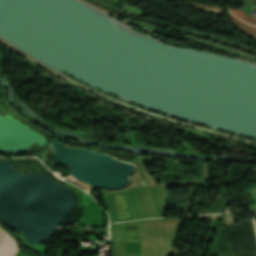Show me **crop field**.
Here are the masks:
<instances>
[{"instance_id":"obj_1","label":"crop field","mask_w":256,"mask_h":256,"mask_svg":"<svg viewBox=\"0 0 256 256\" xmlns=\"http://www.w3.org/2000/svg\"><path fill=\"white\" fill-rule=\"evenodd\" d=\"M15 250L16 243L14 239L5 234L3 240L0 243V256H13Z\"/></svg>"},{"instance_id":"obj_4","label":"crop field","mask_w":256,"mask_h":256,"mask_svg":"<svg viewBox=\"0 0 256 256\" xmlns=\"http://www.w3.org/2000/svg\"><path fill=\"white\" fill-rule=\"evenodd\" d=\"M230 11H232L235 15H237L242 20H244V21H246V22L256 26V17H252V16L248 15L243 10L230 9Z\"/></svg>"},{"instance_id":"obj_10","label":"crop field","mask_w":256,"mask_h":256,"mask_svg":"<svg viewBox=\"0 0 256 256\" xmlns=\"http://www.w3.org/2000/svg\"><path fill=\"white\" fill-rule=\"evenodd\" d=\"M255 223H256V221H255Z\"/></svg>"},{"instance_id":"obj_9","label":"crop field","mask_w":256,"mask_h":256,"mask_svg":"<svg viewBox=\"0 0 256 256\" xmlns=\"http://www.w3.org/2000/svg\"><path fill=\"white\" fill-rule=\"evenodd\" d=\"M254 5H256V0H254Z\"/></svg>"},{"instance_id":"obj_6","label":"crop field","mask_w":256,"mask_h":256,"mask_svg":"<svg viewBox=\"0 0 256 256\" xmlns=\"http://www.w3.org/2000/svg\"><path fill=\"white\" fill-rule=\"evenodd\" d=\"M250 191L252 192V194H253V195L255 196V198H256V187L250 189ZM248 209H249L250 211H256V203L253 204L252 206L248 207Z\"/></svg>"},{"instance_id":"obj_8","label":"crop field","mask_w":256,"mask_h":256,"mask_svg":"<svg viewBox=\"0 0 256 256\" xmlns=\"http://www.w3.org/2000/svg\"><path fill=\"white\" fill-rule=\"evenodd\" d=\"M4 232V231H3ZM1 230H0V241H1V239H2V237H3V235H4V233H3Z\"/></svg>"},{"instance_id":"obj_7","label":"crop field","mask_w":256,"mask_h":256,"mask_svg":"<svg viewBox=\"0 0 256 256\" xmlns=\"http://www.w3.org/2000/svg\"><path fill=\"white\" fill-rule=\"evenodd\" d=\"M20 239H21V238H20ZM22 242H23V241H22ZM23 244H24V246H25V247H27V248H29V249H32V250H35V251H36V249L29 247V246H28V245H26L24 242H23Z\"/></svg>"},{"instance_id":"obj_5","label":"crop field","mask_w":256,"mask_h":256,"mask_svg":"<svg viewBox=\"0 0 256 256\" xmlns=\"http://www.w3.org/2000/svg\"><path fill=\"white\" fill-rule=\"evenodd\" d=\"M127 231H128L129 239L140 238L137 227L127 228ZM128 256H138V255H128Z\"/></svg>"},{"instance_id":"obj_2","label":"crop field","mask_w":256,"mask_h":256,"mask_svg":"<svg viewBox=\"0 0 256 256\" xmlns=\"http://www.w3.org/2000/svg\"><path fill=\"white\" fill-rule=\"evenodd\" d=\"M113 197H114L118 217L119 218L129 217L125 199H124V195L123 194L115 195Z\"/></svg>"},{"instance_id":"obj_3","label":"crop field","mask_w":256,"mask_h":256,"mask_svg":"<svg viewBox=\"0 0 256 256\" xmlns=\"http://www.w3.org/2000/svg\"><path fill=\"white\" fill-rule=\"evenodd\" d=\"M229 16H230L231 20L233 22H235L238 26H240L245 33H247L250 36L256 37V27L244 23L243 21L234 17L230 12H229Z\"/></svg>"}]
</instances>
